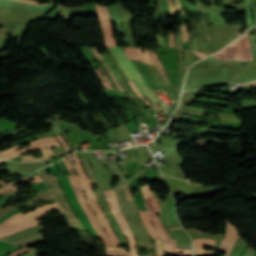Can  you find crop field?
I'll return each instance as SVG.
<instances>
[{
    "instance_id": "crop-field-11",
    "label": "crop field",
    "mask_w": 256,
    "mask_h": 256,
    "mask_svg": "<svg viewBox=\"0 0 256 256\" xmlns=\"http://www.w3.org/2000/svg\"><path fill=\"white\" fill-rule=\"evenodd\" d=\"M238 234L239 232L236 230V228L230 225L229 221H227L226 235L219 249L220 251L226 252L225 256H228L229 252L231 251L238 238Z\"/></svg>"
},
{
    "instance_id": "crop-field-35",
    "label": "crop field",
    "mask_w": 256,
    "mask_h": 256,
    "mask_svg": "<svg viewBox=\"0 0 256 256\" xmlns=\"http://www.w3.org/2000/svg\"><path fill=\"white\" fill-rule=\"evenodd\" d=\"M40 178L39 175H36V176H32V177H28V178H24V179H21L19 181H17L16 183H19V182H23V181H27V180H32V179H38ZM15 183V184H16ZM14 185V184H13ZM12 186V185H11Z\"/></svg>"
},
{
    "instance_id": "crop-field-48",
    "label": "crop field",
    "mask_w": 256,
    "mask_h": 256,
    "mask_svg": "<svg viewBox=\"0 0 256 256\" xmlns=\"http://www.w3.org/2000/svg\"><path fill=\"white\" fill-rule=\"evenodd\" d=\"M184 1H185L186 5H187V7H188V10H189V11H192V10H191V7H190V5H189V3H188V1H187V0H184Z\"/></svg>"
},
{
    "instance_id": "crop-field-38",
    "label": "crop field",
    "mask_w": 256,
    "mask_h": 256,
    "mask_svg": "<svg viewBox=\"0 0 256 256\" xmlns=\"http://www.w3.org/2000/svg\"><path fill=\"white\" fill-rule=\"evenodd\" d=\"M14 193H17V189H15V190H11V191H7V192H3V193H0V196H2V195H6V194H14Z\"/></svg>"
},
{
    "instance_id": "crop-field-16",
    "label": "crop field",
    "mask_w": 256,
    "mask_h": 256,
    "mask_svg": "<svg viewBox=\"0 0 256 256\" xmlns=\"http://www.w3.org/2000/svg\"><path fill=\"white\" fill-rule=\"evenodd\" d=\"M41 151H42V153H43V157H41V158H34L32 155L23 156V157H22V162L34 161V160H46V159H49V158H53V157H54L51 148L43 149V150H41Z\"/></svg>"
},
{
    "instance_id": "crop-field-17",
    "label": "crop field",
    "mask_w": 256,
    "mask_h": 256,
    "mask_svg": "<svg viewBox=\"0 0 256 256\" xmlns=\"http://www.w3.org/2000/svg\"><path fill=\"white\" fill-rule=\"evenodd\" d=\"M44 141H57V140H56L55 138H43V139H38V140H35V141L31 142V143H26V144H31V146H35V145H37V144H39V143H41V142H44ZM22 145H23V144H22ZM29 147H30V146H29ZM19 148H22L21 145L16 146V147H14V148H11V149H9V150H7V151L0 152V156H2V155H4V154H7V153H10V152H12V151H15V150H17V149H19Z\"/></svg>"
},
{
    "instance_id": "crop-field-42",
    "label": "crop field",
    "mask_w": 256,
    "mask_h": 256,
    "mask_svg": "<svg viewBox=\"0 0 256 256\" xmlns=\"http://www.w3.org/2000/svg\"><path fill=\"white\" fill-rule=\"evenodd\" d=\"M252 85H256V82H251V83H247V84L239 85V87L252 86Z\"/></svg>"
},
{
    "instance_id": "crop-field-29",
    "label": "crop field",
    "mask_w": 256,
    "mask_h": 256,
    "mask_svg": "<svg viewBox=\"0 0 256 256\" xmlns=\"http://www.w3.org/2000/svg\"><path fill=\"white\" fill-rule=\"evenodd\" d=\"M174 4L176 6L177 11H180L181 14H184L180 1L179 0H174Z\"/></svg>"
},
{
    "instance_id": "crop-field-39",
    "label": "crop field",
    "mask_w": 256,
    "mask_h": 256,
    "mask_svg": "<svg viewBox=\"0 0 256 256\" xmlns=\"http://www.w3.org/2000/svg\"><path fill=\"white\" fill-rule=\"evenodd\" d=\"M157 68H158V67H157ZM158 69H159V71L162 73L163 78H164V80H165V83H166V84H169L168 81H167V77H166V74H165L164 70H162V69H160V68H158Z\"/></svg>"
},
{
    "instance_id": "crop-field-5",
    "label": "crop field",
    "mask_w": 256,
    "mask_h": 256,
    "mask_svg": "<svg viewBox=\"0 0 256 256\" xmlns=\"http://www.w3.org/2000/svg\"><path fill=\"white\" fill-rule=\"evenodd\" d=\"M214 57L217 59L253 61L247 34L235 40Z\"/></svg>"
},
{
    "instance_id": "crop-field-53",
    "label": "crop field",
    "mask_w": 256,
    "mask_h": 256,
    "mask_svg": "<svg viewBox=\"0 0 256 256\" xmlns=\"http://www.w3.org/2000/svg\"><path fill=\"white\" fill-rule=\"evenodd\" d=\"M167 47H169V34H168V37H167Z\"/></svg>"
},
{
    "instance_id": "crop-field-23",
    "label": "crop field",
    "mask_w": 256,
    "mask_h": 256,
    "mask_svg": "<svg viewBox=\"0 0 256 256\" xmlns=\"http://www.w3.org/2000/svg\"><path fill=\"white\" fill-rule=\"evenodd\" d=\"M156 241V246H157V251L159 256H165V251H164V246H163V240H155Z\"/></svg>"
},
{
    "instance_id": "crop-field-46",
    "label": "crop field",
    "mask_w": 256,
    "mask_h": 256,
    "mask_svg": "<svg viewBox=\"0 0 256 256\" xmlns=\"http://www.w3.org/2000/svg\"><path fill=\"white\" fill-rule=\"evenodd\" d=\"M29 183H39V182H42L41 179H38V180H33V181H28Z\"/></svg>"
},
{
    "instance_id": "crop-field-7",
    "label": "crop field",
    "mask_w": 256,
    "mask_h": 256,
    "mask_svg": "<svg viewBox=\"0 0 256 256\" xmlns=\"http://www.w3.org/2000/svg\"><path fill=\"white\" fill-rule=\"evenodd\" d=\"M104 192H105V196L110 204L111 210H112L114 216L116 217V219L118 220L119 225L128 240L131 256H138L137 251L135 249V240H134V238L125 222L124 216L117 204L114 192L108 191V190H104Z\"/></svg>"
},
{
    "instance_id": "crop-field-31",
    "label": "crop field",
    "mask_w": 256,
    "mask_h": 256,
    "mask_svg": "<svg viewBox=\"0 0 256 256\" xmlns=\"http://www.w3.org/2000/svg\"><path fill=\"white\" fill-rule=\"evenodd\" d=\"M57 140L63 145L64 149L66 150V152H69V148L66 145V143L62 140V138L60 137V135L56 136Z\"/></svg>"
},
{
    "instance_id": "crop-field-20",
    "label": "crop field",
    "mask_w": 256,
    "mask_h": 256,
    "mask_svg": "<svg viewBox=\"0 0 256 256\" xmlns=\"http://www.w3.org/2000/svg\"><path fill=\"white\" fill-rule=\"evenodd\" d=\"M35 225H38L37 221L32 222V223H28V224H24V225H22L20 227H17L15 229L0 233V237L7 236V235H10V234H15V233H17V232H19V231H21L25 228L32 227V226H35Z\"/></svg>"
},
{
    "instance_id": "crop-field-12",
    "label": "crop field",
    "mask_w": 256,
    "mask_h": 256,
    "mask_svg": "<svg viewBox=\"0 0 256 256\" xmlns=\"http://www.w3.org/2000/svg\"><path fill=\"white\" fill-rule=\"evenodd\" d=\"M0 15H6L10 17L14 16L19 18H31V19L41 18V13L26 12V11L2 8V7H0Z\"/></svg>"
},
{
    "instance_id": "crop-field-1",
    "label": "crop field",
    "mask_w": 256,
    "mask_h": 256,
    "mask_svg": "<svg viewBox=\"0 0 256 256\" xmlns=\"http://www.w3.org/2000/svg\"><path fill=\"white\" fill-rule=\"evenodd\" d=\"M46 169L47 170L50 169V172H51L50 175H56L57 179L60 182V185L63 189V192H64V194L67 198V201H68L71 209L73 210V212L75 213V215L79 219L82 226L90 232L92 237H94V238H100L101 237L105 246H111L110 239L108 238V236L104 232L103 228L99 224L94 212L90 209V207L86 203L85 197H84L83 192H82L81 187H80V183L78 181V177L77 176H68L72 185H73V187H74V190L76 192V195L78 197V200H79L82 208L84 209L85 213L89 217L90 221L92 222L95 230L100 235V237L98 236V234L94 230L91 222L89 221V219L87 218L83 209L81 208V206H80V204L77 200V197L75 195V192H74V190H73V188L70 184V181H69L68 177L67 176L60 177V174H59V171H58L56 165L46 167Z\"/></svg>"
},
{
    "instance_id": "crop-field-9",
    "label": "crop field",
    "mask_w": 256,
    "mask_h": 256,
    "mask_svg": "<svg viewBox=\"0 0 256 256\" xmlns=\"http://www.w3.org/2000/svg\"><path fill=\"white\" fill-rule=\"evenodd\" d=\"M96 7L100 19L101 30L104 35L105 46H116L115 40L112 38V29L110 26V18L107 7L97 5Z\"/></svg>"
},
{
    "instance_id": "crop-field-10",
    "label": "crop field",
    "mask_w": 256,
    "mask_h": 256,
    "mask_svg": "<svg viewBox=\"0 0 256 256\" xmlns=\"http://www.w3.org/2000/svg\"><path fill=\"white\" fill-rule=\"evenodd\" d=\"M98 201H99V203H100V205H101V207H102V209H103L107 219L109 220V222H110V224H111L115 234L119 238L120 244L121 245H127V240H126L123 232L121 231V229H120V227H119L115 217L111 214L106 199L103 198V199H100Z\"/></svg>"
},
{
    "instance_id": "crop-field-24",
    "label": "crop field",
    "mask_w": 256,
    "mask_h": 256,
    "mask_svg": "<svg viewBox=\"0 0 256 256\" xmlns=\"http://www.w3.org/2000/svg\"><path fill=\"white\" fill-rule=\"evenodd\" d=\"M122 191H123V193L125 195V198H126L127 202L133 201L132 194L129 191V185L124 186L122 188Z\"/></svg>"
},
{
    "instance_id": "crop-field-50",
    "label": "crop field",
    "mask_w": 256,
    "mask_h": 256,
    "mask_svg": "<svg viewBox=\"0 0 256 256\" xmlns=\"http://www.w3.org/2000/svg\"><path fill=\"white\" fill-rule=\"evenodd\" d=\"M170 47H173V34H171V42H170Z\"/></svg>"
},
{
    "instance_id": "crop-field-13",
    "label": "crop field",
    "mask_w": 256,
    "mask_h": 256,
    "mask_svg": "<svg viewBox=\"0 0 256 256\" xmlns=\"http://www.w3.org/2000/svg\"><path fill=\"white\" fill-rule=\"evenodd\" d=\"M60 144L58 142H45V143H42L40 145H37L35 147H31V148H26V149H21L19 151H15V152H12L8 155H5L3 157H1L0 159H12L26 151H30V150H34V149H42V148H46V147H54V146H59Z\"/></svg>"
},
{
    "instance_id": "crop-field-4",
    "label": "crop field",
    "mask_w": 256,
    "mask_h": 256,
    "mask_svg": "<svg viewBox=\"0 0 256 256\" xmlns=\"http://www.w3.org/2000/svg\"><path fill=\"white\" fill-rule=\"evenodd\" d=\"M53 210L57 212L61 211L57 203H54V204L38 207L35 210L24 215L22 212L18 213L0 224V232L12 229L23 223L32 222L46 215L49 211H53Z\"/></svg>"
},
{
    "instance_id": "crop-field-37",
    "label": "crop field",
    "mask_w": 256,
    "mask_h": 256,
    "mask_svg": "<svg viewBox=\"0 0 256 256\" xmlns=\"http://www.w3.org/2000/svg\"><path fill=\"white\" fill-rule=\"evenodd\" d=\"M63 161H64V163H65V165H66V167H67V169H68L70 175H73V174H72V171H71V169H70L69 163H68V161H67V158L65 157V158L63 159Z\"/></svg>"
},
{
    "instance_id": "crop-field-40",
    "label": "crop field",
    "mask_w": 256,
    "mask_h": 256,
    "mask_svg": "<svg viewBox=\"0 0 256 256\" xmlns=\"http://www.w3.org/2000/svg\"><path fill=\"white\" fill-rule=\"evenodd\" d=\"M96 73H97V74L99 75V77L101 78V80H102V82H103L105 88L108 89V87H107V85H106V83H105V81H104L102 75L97 71V69H96Z\"/></svg>"
},
{
    "instance_id": "crop-field-54",
    "label": "crop field",
    "mask_w": 256,
    "mask_h": 256,
    "mask_svg": "<svg viewBox=\"0 0 256 256\" xmlns=\"http://www.w3.org/2000/svg\"><path fill=\"white\" fill-rule=\"evenodd\" d=\"M65 15H66V8H65V11H64L63 20H65Z\"/></svg>"
},
{
    "instance_id": "crop-field-41",
    "label": "crop field",
    "mask_w": 256,
    "mask_h": 256,
    "mask_svg": "<svg viewBox=\"0 0 256 256\" xmlns=\"http://www.w3.org/2000/svg\"><path fill=\"white\" fill-rule=\"evenodd\" d=\"M47 188H48L47 186H42V187L35 188L31 191H40V190L47 189Z\"/></svg>"
},
{
    "instance_id": "crop-field-6",
    "label": "crop field",
    "mask_w": 256,
    "mask_h": 256,
    "mask_svg": "<svg viewBox=\"0 0 256 256\" xmlns=\"http://www.w3.org/2000/svg\"><path fill=\"white\" fill-rule=\"evenodd\" d=\"M50 186L56 200L58 201L66 220L68 221L70 227L80 225L78 219L71 211L66 198L61 190V187L56 179L55 176H49V175H40Z\"/></svg>"
},
{
    "instance_id": "crop-field-33",
    "label": "crop field",
    "mask_w": 256,
    "mask_h": 256,
    "mask_svg": "<svg viewBox=\"0 0 256 256\" xmlns=\"http://www.w3.org/2000/svg\"><path fill=\"white\" fill-rule=\"evenodd\" d=\"M16 196H20L19 194H14V195H8V196H4V197H1V201H0V204L4 203L7 199L9 198H13V197H16Z\"/></svg>"
},
{
    "instance_id": "crop-field-51",
    "label": "crop field",
    "mask_w": 256,
    "mask_h": 256,
    "mask_svg": "<svg viewBox=\"0 0 256 256\" xmlns=\"http://www.w3.org/2000/svg\"><path fill=\"white\" fill-rule=\"evenodd\" d=\"M15 188H16L15 186L12 187V188L8 187V188H6V189H4V190H2V191H7V190L15 189ZM2 191H0V192H2Z\"/></svg>"
},
{
    "instance_id": "crop-field-30",
    "label": "crop field",
    "mask_w": 256,
    "mask_h": 256,
    "mask_svg": "<svg viewBox=\"0 0 256 256\" xmlns=\"http://www.w3.org/2000/svg\"><path fill=\"white\" fill-rule=\"evenodd\" d=\"M129 83H130L132 89L134 90V92H135L139 97H141V98L147 103L148 106H151V104H150L147 100H145V99L138 93L137 89H136L135 86L132 84V82L130 81Z\"/></svg>"
},
{
    "instance_id": "crop-field-3",
    "label": "crop field",
    "mask_w": 256,
    "mask_h": 256,
    "mask_svg": "<svg viewBox=\"0 0 256 256\" xmlns=\"http://www.w3.org/2000/svg\"><path fill=\"white\" fill-rule=\"evenodd\" d=\"M71 155L74 160L75 169L80 178L81 187H82L83 191L87 192V194L86 193H84V194H85L88 204L95 211L100 223L104 227L107 235L110 237L112 246H119L118 238L113 233L108 220L106 219V217L104 216L103 212L101 211V209L98 205L97 199H96L94 193L92 192V188H91L90 182L88 180V177L82 169L80 160L77 157H75L74 154H71Z\"/></svg>"
},
{
    "instance_id": "crop-field-14",
    "label": "crop field",
    "mask_w": 256,
    "mask_h": 256,
    "mask_svg": "<svg viewBox=\"0 0 256 256\" xmlns=\"http://www.w3.org/2000/svg\"><path fill=\"white\" fill-rule=\"evenodd\" d=\"M193 244L195 254L212 253L213 251H203V246L214 248L215 241L210 239H195Z\"/></svg>"
},
{
    "instance_id": "crop-field-34",
    "label": "crop field",
    "mask_w": 256,
    "mask_h": 256,
    "mask_svg": "<svg viewBox=\"0 0 256 256\" xmlns=\"http://www.w3.org/2000/svg\"><path fill=\"white\" fill-rule=\"evenodd\" d=\"M175 45H174V47H180V48H182V46H181V39H180V33L178 34V36L175 38Z\"/></svg>"
},
{
    "instance_id": "crop-field-47",
    "label": "crop field",
    "mask_w": 256,
    "mask_h": 256,
    "mask_svg": "<svg viewBox=\"0 0 256 256\" xmlns=\"http://www.w3.org/2000/svg\"><path fill=\"white\" fill-rule=\"evenodd\" d=\"M194 52V51H193ZM198 56H200L201 58H203V57H205V56H207V55H205V54H202V53H199V52H195Z\"/></svg>"
},
{
    "instance_id": "crop-field-26",
    "label": "crop field",
    "mask_w": 256,
    "mask_h": 256,
    "mask_svg": "<svg viewBox=\"0 0 256 256\" xmlns=\"http://www.w3.org/2000/svg\"><path fill=\"white\" fill-rule=\"evenodd\" d=\"M165 2H166V5H167V8H168V11H169V15L172 16L176 12V10H175L171 0H167Z\"/></svg>"
},
{
    "instance_id": "crop-field-18",
    "label": "crop field",
    "mask_w": 256,
    "mask_h": 256,
    "mask_svg": "<svg viewBox=\"0 0 256 256\" xmlns=\"http://www.w3.org/2000/svg\"><path fill=\"white\" fill-rule=\"evenodd\" d=\"M106 252L108 256H130L129 253L119 247H106Z\"/></svg>"
},
{
    "instance_id": "crop-field-44",
    "label": "crop field",
    "mask_w": 256,
    "mask_h": 256,
    "mask_svg": "<svg viewBox=\"0 0 256 256\" xmlns=\"http://www.w3.org/2000/svg\"><path fill=\"white\" fill-rule=\"evenodd\" d=\"M67 157H68V159H69V161H70V164H71V166H72V169H73L74 174L77 175L76 172H75V170H74V168H73V164H72V160H71L70 155L67 156Z\"/></svg>"
},
{
    "instance_id": "crop-field-8",
    "label": "crop field",
    "mask_w": 256,
    "mask_h": 256,
    "mask_svg": "<svg viewBox=\"0 0 256 256\" xmlns=\"http://www.w3.org/2000/svg\"><path fill=\"white\" fill-rule=\"evenodd\" d=\"M115 58L127 74L129 78L142 76L136 66L132 63V61L128 58L125 52L121 49V47H110Z\"/></svg>"
},
{
    "instance_id": "crop-field-22",
    "label": "crop field",
    "mask_w": 256,
    "mask_h": 256,
    "mask_svg": "<svg viewBox=\"0 0 256 256\" xmlns=\"http://www.w3.org/2000/svg\"><path fill=\"white\" fill-rule=\"evenodd\" d=\"M126 54L130 57V59H139L138 54L136 52V48H124ZM141 61V60H140Z\"/></svg>"
},
{
    "instance_id": "crop-field-21",
    "label": "crop field",
    "mask_w": 256,
    "mask_h": 256,
    "mask_svg": "<svg viewBox=\"0 0 256 256\" xmlns=\"http://www.w3.org/2000/svg\"><path fill=\"white\" fill-rule=\"evenodd\" d=\"M141 49H142V48H137V52H138L139 56L141 57V59H142L144 62L148 63V64H153V65H155L154 62H153V60H152V58H151L150 53L146 50V48H144V50H145V53H144V54H143V52H142Z\"/></svg>"
},
{
    "instance_id": "crop-field-55",
    "label": "crop field",
    "mask_w": 256,
    "mask_h": 256,
    "mask_svg": "<svg viewBox=\"0 0 256 256\" xmlns=\"http://www.w3.org/2000/svg\"><path fill=\"white\" fill-rule=\"evenodd\" d=\"M181 227H177V228H171L170 230H173V229H180Z\"/></svg>"
},
{
    "instance_id": "crop-field-36",
    "label": "crop field",
    "mask_w": 256,
    "mask_h": 256,
    "mask_svg": "<svg viewBox=\"0 0 256 256\" xmlns=\"http://www.w3.org/2000/svg\"><path fill=\"white\" fill-rule=\"evenodd\" d=\"M98 70H99L100 73L104 76V78H105V80H106V82H107L109 88L113 90V88L111 87V85H110V83H109V81H108L106 75L104 74V72H103L100 68H98Z\"/></svg>"
},
{
    "instance_id": "crop-field-15",
    "label": "crop field",
    "mask_w": 256,
    "mask_h": 256,
    "mask_svg": "<svg viewBox=\"0 0 256 256\" xmlns=\"http://www.w3.org/2000/svg\"><path fill=\"white\" fill-rule=\"evenodd\" d=\"M138 213H139V215H140V217H141V219H142V221H143V223H144V225H145V227H146V229H147L151 239L159 238L158 235L156 234V232H155V230H154V228H153L149 218H148L147 213L146 212H138Z\"/></svg>"
},
{
    "instance_id": "crop-field-49",
    "label": "crop field",
    "mask_w": 256,
    "mask_h": 256,
    "mask_svg": "<svg viewBox=\"0 0 256 256\" xmlns=\"http://www.w3.org/2000/svg\"><path fill=\"white\" fill-rule=\"evenodd\" d=\"M14 181H15V180H14ZM14 181H12V182H14ZM12 182H11V183H12ZM0 183H1L4 187H6V186H8L9 184H11V183H9V184L6 185V184L3 183L1 180H0ZM1 188H3V187H1Z\"/></svg>"
},
{
    "instance_id": "crop-field-43",
    "label": "crop field",
    "mask_w": 256,
    "mask_h": 256,
    "mask_svg": "<svg viewBox=\"0 0 256 256\" xmlns=\"http://www.w3.org/2000/svg\"><path fill=\"white\" fill-rule=\"evenodd\" d=\"M177 252H184V253H192V250H179L176 249Z\"/></svg>"
},
{
    "instance_id": "crop-field-27",
    "label": "crop field",
    "mask_w": 256,
    "mask_h": 256,
    "mask_svg": "<svg viewBox=\"0 0 256 256\" xmlns=\"http://www.w3.org/2000/svg\"><path fill=\"white\" fill-rule=\"evenodd\" d=\"M159 47H166V37L161 38L160 34H157Z\"/></svg>"
},
{
    "instance_id": "crop-field-25",
    "label": "crop field",
    "mask_w": 256,
    "mask_h": 256,
    "mask_svg": "<svg viewBox=\"0 0 256 256\" xmlns=\"http://www.w3.org/2000/svg\"><path fill=\"white\" fill-rule=\"evenodd\" d=\"M203 24H204V28H205V36L207 38V41H206V44H205V52L210 54L208 28H207V24H206L205 21H203Z\"/></svg>"
},
{
    "instance_id": "crop-field-32",
    "label": "crop field",
    "mask_w": 256,
    "mask_h": 256,
    "mask_svg": "<svg viewBox=\"0 0 256 256\" xmlns=\"http://www.w3.org/2000/svg\"><path fill=\"white\" fill-rule=\"evenodd\" d=\"M150 51H151V54H152V56H153V59H154L156 65L162 67V65H161V63H160V61H159V59H158V57H157V54H156V53H153L152 50H150Z\"/></svg>"
},
{
    "instance_id": "crop-field-45",
    "label": "crop field",
    "mask_w": 256,
    "mask_h": 256,
    "mask_svg": "<svg viewBox=\"0 0 256 256\" xmlns=\"http://www.w3.org/2000/svg\"><path fill=\"white\" fill-rule=\"evenodd\" d=\"M195 32H196V30H194L193 35L195 34ZM194 50L197 51V48H196V38H194Z\"/></svg>"
},
{
    "instance_id": "crop-field-2",
    "label": "crop field",
    "mask_w": 256,
    "mask_h": 256,
    "mask_svg": "<svg viewBox=\"0 0 256 256\" xmlns=\"http://www.w3.org/2000/svg\"><path fill=\"white\" fill-rule=\"evenodd\" d=\"M141 190L146 204V208L148 210L149 218L154 227L156 228L159 237L164 239L166 253L177 256H193V254L175 253L176 242L175 240L169 239L164 227L162 226L158 218L157 213H160V208L156 197L153 195L152 192H150L149 185H144L143 187H141Z\"/></svg>"
},
{
    "instance_id": "crop-field-19",
    "label": "crop field",
    "mask_w": 256,
    "mask_h": 256,
    "mask_svg": "<svg viewBox=\"0 0 256 256\" xmlns=\"http://www.w3.org/2000/svg\"><path fill=\"white\" fill-rule=\"evenodd\" d=\"M9 26L10 24H6L3 28H0V50H2V45L7 37V33H8V30H9ZM12 27H13V24H11V27H10V33H9V37L11 36V33H12Z\"/></svg>"
},
{
    "instance_id": "crop-field-28",
    "label": "crop field",
    "mask_w": 256,
    "mask_h": 256,
    "mask_svg": "<svg viewBox=\"0 0 256 256\" xmlns=\"http://www.w3.org/2000/svg\"><path fill=\"white\" fill-rule=\"evenodd\" d=\"M102 56V58L105 60V62L108 64V66L110 67V69L113 71V73L116 75V77H117V79H118V81L119 80H121L120 79V77L117 75V73L115 72V70H114V68L112 67V65L109 63V61L105 58V56L104 55H101Z\"/></svg>"
},
{
    "instance_id": "crop-field-52",
    "label": "crop field",
    "mask_w": 256,
    "mask_h": 256,
    "mask_svg": "<svg viewBox=\"0 0 256 256\" xmlns=\"http://www.w3.org/2000/svg\"><path fill=\"white\" fill-rule=\"evenodd\" d=\"M22 1L33 2V3L39 4V2H36V1H29V0H22Z\"/></svg>"
}]
</instances>
